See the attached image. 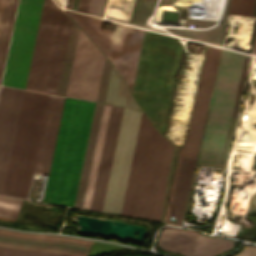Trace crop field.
Masks as SVG:
<instances>
[{"mask_svg": "<svg viewBox=\"0 0 256 256\" xmlns=\"http://www.w3.org/2000/svg\"><path fill=\"white\" fill-rule=\"evenodd\" d=\"M64 100L25 91L3 194L27 198L32 173L48 174Z\"/></svg>", "mask_w": 256, "mask_h": 256, "instance_id": "1", "label": "crop field"}, {"mask_svg": "<svg viewBox=\"0 0 256 256\" xmlns=\"http://www.w3.org/2000/svg\"><path fill=\"white\" fill-rule=\"evenodd\" d=\"M166 139L142 113L121 214L149 219ZM174 147L166 143L150 219L160 220Z\"/></svg>", "mask_w": 256, "mask_h": 256, "instance_id": "2", "label": "crop field"}, {"mask_svg": "<svg viewBox=\"0 0 256 256\" xmlns=\"http://www.w3.org/2000/svg\"><path fill=\"white\" fill-rule=\"evenodd\" d=\"M94 104L66 98L44 201L73 206Z\"/></svg>", "mask_w": 256, "mask_h": 256, "instance_id": "3", "label": "crop field"}, {"mask_svg": "<svg viewBox=\"0 0 256 256\" xmlns=\"http://www.w3.org/2000/svg\"><path fill=\"white\" fill-rule=\"evenodd\" d=\"M246 55L222 49L196 162L221 163Z\"/></svg>", "mask_w": 256, "mask_h": 256, "instance_id": "4", "label": "crop field"}, {"mask_svg": "<svg viewBox=\"0 0 256 256\" xmlns=\"http://www.w3.org/2000/svg\"><path fill=\"white\" fill-rule=\"evenodd\" d=\"M72 20L44 0L25 89L56 94Z\"/></svg>", "mask_w": 256, "mask_h": 256, "instance_id": "5", "label": "crop field"}, {"mask_svg": "<svg viewBox=\"0 0 256 256\" xmlns=\"http://www.w3.org/2000/svg\"><path fill=\"white\" fill-rule=\"evenodd\" d=\"M108 57L112 34L97 31L100 18L65 10ZM143 29L117 24L112 37L109 59L131 88Z\"/></svg>", "mask_w": 256, "mask_h": 256, "instance_id": "6", "label": "crop field"}, {"mask_svg": "<svg viewBox=\"0 0 256 256\" xmlns=\"http://www.w3.org/2000/svg\"><path fill=\"white\" fill-rule=\"evenodd\" d=\"M122 110L104 105L83 208L102 209Z\"/></svg>", "mask_w": 256, "mask_h": 256, "instance_id": "7", "label": "crop field"}, {"mask_svg": "<svg viewBox=\"0 0 256 256\" xmlns=\"http://www.w3.org/2000/svg\"><path fill=\"white\" fill-rule=\"evenodd\" d=\"M21 2L2 84L5 83ZM43 0H23L5 85L24 89Z\"/></svg>", "mask_w": 256, "mask_h": 256, "instance_id": "8", "label": "crop field"}, {"mask_svg": "<svg viewBox=\"0 0 256 256\" xmlns=\"http://www.w3.org/2000/svg\"><path fill=\"white\" fill-rule=\"evenodd\" d=\"M142 111L123 110L102 211L120 214Z\"/></svg>", "mask_w": 256, "mask_h": 256, "instance_id": "9", "label": "crop field"}, {"mask_svg": "<svg viewBox=\"0 0 256 256\" xmlns=\"http://www.w3.org/2000/svg\"><path fill=\"white\" fill-rule=\"evenodd\" d=\"M91 241L45 234L0 229V246L17 249L51 251L84 256ZM0 247V256H69L51 252L16 250Z\"/></svg>", "mask_w": 256, "mask_h": 256, "instance_id": "10", "label": "crop field"}, {"mask_svg": "<svg viewBox=\"0 0 256 256\" xmlns=\"http://www.w3.org/2000/svg\"><path fill=\"white\" fill-rule=\"evenodd\" d=\"M103 59L80 30L66 96L95 101Z\"/></svg>", "mask_w": 256, "mask_h": 256, "instance_id": "11", "label": "crop field"}, {"mask_svg": "<svg viewBox=\"0 0 256 256\" xmlns=\"http://www.w3.org/2000/svg\"><path fill=\"white\" fill-rule=\"evenodd\" d=\"M220 51V48L207 47L182 156L197 155Z\"/></svg>", "mask_w": 256, "mask_h": 256, "instance_id": "12", "label": "crop field"}, {"mask_svg": "<svg viewBox=\"0 0 256 256\" xmlns=\"http://www.w3.org/2000/svg\"><path fill=\"white\" fill-rule=\"evenodd\" d=\"M234 243L218 237L208 238L191 230L165 228L160 234L158 245L188 256H212L231 249Z\"/></svg>", "mask_w": 256, "mask_h": 256, "instance_id": "13", "label": "crop field"}, {"mask_svg": "<svg viewBox=\"0 0 256 256\" xmlns=\"http://www.w3.org/2000/svg\"><path fill=\"white\" fill-rule=\"evenodd\" d=\"M24 91L2 86L0 94V194L3 192Z\"/></svg>", "mask_w": 256, "mask_h": 256, "instance_id": "14", "label": "crop field"}, {"mask_svg": "<svg viewBox=\"0 0 256 256\" xmlns=\"http://www.w3.org/2000/svg\"><path fill=\"white\" fill-rule=\"evenodd\" d=\"M196 158L182 157L167 222L181 225Z\"/></svg>", "mask_w": 256, "mask_h": 256, "instance_id": "15", "label": "crop field"}, {"mask_svg": "<svg viewBox=\"0 0 256 256\" xmlns=\"http://www.w3.org/2000/svg\"><path fill=\"white\" fill-rule=\"evenodd\" d=\"M103 105H95L84 162L74 206L82 208Z\"/></svg>", "mask_w": 256, "mask_h": 256, "instance_id": "16", "label": "crop field"}, {"mask_svg": "<svg viewBox=\"0 0 256 256\" xmlns=\"http://www.w3.org/2000/svg\"><path fill=\"white\" fill-rule=\"evenodd\" d=\"M133 102L134 100L122 79L112 68L105 103L132 108Z\"/></svg>", "mask_w": 256, "mask_h": 256, "instance_id": "17", "label": "crop field"}, {"mask_svg": "<svg viewBox=\"0 0 256 256\" xmlns=\"http://www.w3.org/2000/svg\"><path fill=\"white\" fill-rule=\"evenodd\" d=\"M79 28L72 23L57 94L65 96Z\"/></svg>", "mask_w": 256, "mask_h": 256, "instance_id": "18", "label": "crop field"}, {"mask_svg": "<svg viewBox=\"0 0 256 256\" xmlns=\"http://www.w3.org/2000/svg\"><path fill=\"white\" fill-rule=\"evenodd\" d=\"M23 200L0 196V217L15 219Z\"/></svg>", "mask_w": 256, "mask_h": 256, "instance_id": "19", "label": "crop field"}, {"mask_svg": "<svg viewBox=\"0 0 256 256\" xmlns=\"http://www.w3.org/2000/svg\"><path fill=\"white\" fill-rule=\"evenodd\" d=\"M255 0H231L228 13L251 15Z\"/></svg>", "mask_w": 256, "mask_h": 256, "instance_id": "20", "label": "crop field"}, {"mask_svg": "<svg viewBox=\"0 0 256 256\" xmlns=\"http://www.w3.org/2000/svg\"><path fill=\"white\" fill-rule=\"evenodd\" d=\"M117 250H132L119 245L106 244L93 241L86 256H96L98 254L117 251Z\"/></svg>", "mask_w": 256, "mask_h": 256, "instance_id": "21", "label": "crop field"}, {"mask_svg": "<svg viewBox=\"0 0 256 256\" xmlns=\"http://www.w3.org/2000/svg\"><path fill=\"white\" fill-rule=\"evenodd\" d=\"M12 3H13V0H6L5 2L3 17H2L1 27H0V61L2 57Z\"/></svg>", "mask_w": 256, "mask_h": 256, "instance_id": "22", "label": "crop field"}, {"mask_svg": "<svg viewBox=\"0 0 256 256\" xmlns=\"http://www.w3.org/2000/svg\"><path fill=\"white\" fill-rule=\"evenodd\" d=\"M110 69H111V65L105 58L104 64H103V69H102V74H101V79H100V84H99V89H98V94H97V99H96V101H98V102L104 103V101H105Z\"/></svg>", "mask_w": 256, "mask_h": 256, "instance_id": "23", "label": "crop field"}, {"mask_svg": "<svg viewBox=\"0 0 256 256\" xmlns=\"http://www.w3.org/2000/svg\"><path fill=\"white\" fill-rule=\"evenodd\" d=\"M16 3H17V0H14L12 12H11V17H10V22H9V27H8V32H7V37H6V42H5V47H4V52H3V57H2L1 66H0V82H1L2 72H3V67H4V62H5L8 42H9V37H10V33H11V28H12V23H13Z\"/></svg>", "mask_w": 256, "mask_h": 256, "instance_id": "24", "label": "crop field"}, {"mask_svg": "<svg viewBox=\"0 0 256 256\" xmlns=\"http://www.w3.org/2000/svg\"><path fill=\"white\" fill-rule=\"evenodd\" d=\"M105 0H91L89 14L100 16L102 15Z\"/></svg>", "mask_w": 256, "mask_h": 256, "instance_id": "25", "label": "crop field"}, {"mask_svg": "<svg viewBox=\"0 0 256 256\" xmlns=\"http://www.w3.org/2000/svg\"><path fill=\"white\" fill-rule=\"evenodd\" d=\"M236 256H256V247L255 246L245 247L243 251Z\"/></svg>", "mask_w": 256, "mask_h": 256, "instance_id": "26", "label": "crop field"}, {"mask_svg": "<svg viewBox=\"0 0 256 256\" xmlns=\"http://www.w3.org/2000/svg\"><path fill=\"white\" fill-rule=\"evenodd\" d=\"M90 0H79L77 11L87 13Z\"/></svg>", "mask_w": 256, "mask_h": 256, "instance_id": "27", "label": "crop field"}, {"mask_svg": "<svg viewBox=\"0 0 256 256\" xmlns=\"http://www.w3.org/2000/svg\"><path fill=\"white\" fill-rule=\"evenodd\" d=\"M4 2H5V0H0V22H1V17H2V12H3Z\"/></svg>", "mask_w": 256, "mask_h": 256, "instance_id": "28", "label": "crop field"}, {"mask_svg": "<svg viewBox=\"0 0 256 256\" xmlns=\"http://www.w3.org/2000/svg\"><path fill=\"white\" fill-rule=\"evenodd\" d=\"M254 41H256V35H255V39H254ZM253 54H255V55H256V44H255V48H254V52H253Z\"/></svg>", "mask_w": 256, "mask_h": 256, "instance_id": "29", "label": "crop field"}, {"mask_svg": "<svg viewBox=\"0 0 256 256\" xmlns=\"http://www.w3.org/2000/svg\"><path fill=\"white\" fill-rule=\"evenodd\" d=\"M133 108L140 109L139 106L136 104V102L134 103V107Z\"/></svg>", "mask_w": 256, "mask_h": 256, "instance_id": "30", "label": "crop field"}, {"mask_svg": "<svg viewBox=\"0 0 256 256\" xmlns=\"http://www.w3.org/2000/svg\"><path fill=\"white\" fill-rule=\"evenodd\" d=\"M73 4H74V0H73V3H72V7H71V9L73 8Z\"/></svg>", "mask_w": 256, "mask_h": 256, "instance_id": "31", "label": "crop field"}]
</instances>
